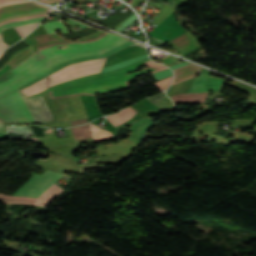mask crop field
<instances>
[{
  "mask_svg": "<svg viewBox=\"0 0 256 256\" xmlns=\"http://www.w3.org/2000/svg\"><path fill=\"white\" fill-rule=\"evenodd\" d=\"M118 38H120V37H117V36H114L113 34L107 33L105 36H103L102 38H100L94 42L62 44V45H68V47H64L65 49H58L57 47H63V46L56 45V46H53V47H50V48H47L44 50H40V51L34 53L33 55H31L28 59L24 60L22 63H20L18 66H16L14 68V69L20 71L21 73H19L18 71L13 69L6 75L0 77V81H2L4 79H7V78L19 73L7 80L0 82V87L30 74L31 72H33L37 68L41 67L45 63H47L59 56H62V55H65V54H68L71 52H76V51L96 49V48H98L112 40L118 39ZM127 41L128 40L120 38V39L110 42L96 50L76 52V53H71V54L59 57V58L45 64L44 66H42L38 70L34 71L30 75L0 88V97L7 93L18 90L17 87L35 79L36 77L42 75L43 73L49 71L50 69L54 68L55 66L65 62L67 60H70L73 58H79V57L99 55V54H102L105 51L110 50L122 43L127 42Z\"/></svg>",
  "mask_w": 256,
  "mask_h": 256,
  "instance_id": "obj_1",
  "label": "crop field"
},
{
  "mask_svg": "<svg viewBox=\"0 0 256 256\" xmlns=\"http://www.w3.org/2000/svg\"><path fill=\"white\" fill-rule=\"evenodd\" d=\"M142 65H146L149 68L137 71L127 76L124 75L126 73L138 70L137 68ZM164 69L168 68L156 64L148 58L123 69L103 73L100 75V77H98V74H95L62 83L33 96H40L49 91L51 98L73 96L78 94L98 95L114 93L120 90L129 89L130 86L127 82L139 76L148 74V72L154 73Z\"/></svg>",
  "mask_w": 256,
  "mask_h": 256,
  "instance_id": "obj_2",
  "label": "crop field"
},
{
  "mask_svg": "<svg viewBox=\"0 0 256 256\" xmlns=\"http://www.w3.org/2000/svg\"><path fill=\"white\" fill-rule=\"evenodd\" d=\"M62 174L47 170L42 176L35 175L14 195L39 197L48 189ZM64 190L55 183L45 191L39 198H28L19 196H9L0 193V201L7 203L36 204L48 206Z\"/></svg>",
  "mask_w": 256,
  "mask_h": 256,
  "instance_id": "obj_3",
  "label": "crop field"
},
{
  "mask_svg": "<svg viewBox=\"0 0 256 256\" xmlns=\"http://www.w3.org/2000/svg\"><path fill=\"white\" fill-rule=\"evenodd\" d=\"M106 58L84 61L80 63L71 64L68 67L50 75L46 79L22 89L26 96L39 93L53 85L72 80L76 77L85 76L91 73L100 72Z\"/></svg>",
  "mask_w": 256,
  "mask_h": 256,
  "instance_id": "obj_4",
  "label": "crop field"
},
{
  "mask_svg": "<svg viewBox=\"0 0 256 256\" xmlns=\"http://www.w3.org/2000/svg\"><path fill=\"white\" fill-rule=\"evenodd\" d=\"M210 72L202 69L199 77H197L196 81L191 85L188 90L189 93H199V92H208L210 89L219 91L222 83L226 79H220L216 77L209 76ZM207 93H199V94H177L172 96V100L174 103H204L206 99Z\"/></svg>",
  "mask_w": 256,
  "mask_h": 256,
  "instance_id": "obj_5",
  "label": "crop field"
},
{
  "mask_svg": "<svg viewBox=\"0 0 256 256\" xmlns=\"http://www.w3.org/2000/svg\"><path fill=\"white\" fill-rule=\"evenodd\" d=\"M50 8L32 1L0 6V25L17 20L46 16Z\"/></svg>",
  "mask_w": 256,
  "mask_h": 256,
  "instance_id": "obj_6",
  "label": "crop field"
},
{
  "mask_svg": "<svg viewBox=\"0 0 256 256\" xmlns=\"http://www.w3.org/2000/svg\"><path fill=\"white\" fill-rule=\"evenodd\" d=\"M0 107L8 119H5V115L0 109V115L5 117L0 116L1 120L7 122L35 123L19 91L0 98Z\"/></svg>",
  "mask_w": 256,
  "mask_h": 256,
  "instance_id": "obj_7",
  "label": "crop field"
},
{
  "mask_svg": "<svg viewBox=\"0 0 256 256\" xmlns=\"http://www.w3.org/2000/svg\"><path fill=\"white\" fill-rule=\"evenodd\" d=\"M104 34H106V33L99 31L93 35L78 39L76 41H67V40L59 37L57 34L42 35V36H36L33 38L37 43V51H38L40 49H44V48H47V47L55 45V44L93 41V40H96V39L102 37Z\"/></svg>",
  "mask_w": 256,
  "mask_h": 256,
  "instance_id": "obj_8",
  "label": "crop field"
},
{
  "mask_svg": "<svg viewBox=\"0 0 256 256\" xmlns=\"http://www.w3.org/2000/svg\"><path fill=\"white\" fill-rule=\"evenodd\" d=\"M19 91L22 94V96L24 97L36 122L53 121V118H52L42 96L41 97H26L21 90H19Z\"/></svg>",
  "mask_w": 256,
  "mask_h": 256,
  "instance_id": "obj_9",
  "label": "crop field"
},
{
  "mask_svg": "<svg viewBox=\"0 0 256 256\" xmlns=\"http://www.w3.org/2000/svg\"><path fill=\"white\" fill-rule=\"evenodd\" d=\"M154 123H152V120L150 118H143L136 120L133 124L130 130H132V134L129 139H132L138 143H141L145 133L148 129L153 127Z\"/></svg>",
  "mask_w": 256,
  "mask_h": 256,
  "instance_id": "obj_10",
  "label": "crop field"
},
{
  "mask_svg": "<svg viewBox=\"0 0 256 256\" xmlns=\"http://www.w3.org/2000/svg\"><path fill=\"white\" fill-rule=\"evenodd\" d=\"M201 68L192 66V65H186L181 68L174 69V80L171 85H174L176 83L182 82L184 80H187L195 75H198L200 72Z\"/></svg>",
  "mask_w": 256,
  "mask_h": 256,
  "instance_id": "obj_11",
  "label": "crop field"
},
{
  "mask_svg": "<svg viewBox=\"0 0 256 256\" xmlns=\"http://www.w3.org/2000/svg\"><path fill=\"white\" fill-rule=\"evenodd\" d=\"M168 43H170L181 54L195 48L192 38L187 33Z\"/></svg>",
  "mask_w": 256,
  "mask_h": 256,
  "instance_id": "obj_12",
  "label": "crop field"
},
{
  "mask_svg": "<svg viewBox=\"0 0 256 256\" xmlns=\"http://www.w3.org/2000/svg\"><path fill=\"white\" fill-rule=\"evenodd\" d=\"M138 112H136L134 109H132L131 107L118 113L115 114L113 116H108L106 117L115 127L122 125L123 123H125L126 121H128L134 114H136Z\"/></svg>",
  "mask_w": 256,
  "mask_h": 256,
  "instance_id": "obj_13",
  "label": "crop field"
},
{
  "mask_svg": "<svg viewBox=\"0 0 256 256\" xmlns=\"http://www.w3.org/2000/svg\"><path fill=\"white\" fill-rule=\"evenodd\" d=\"M72 134L76 140H85L92 138L89 123L71 128Z\"/></svg>",
  "mask_w": 256,
  "mask_h": 256,
  "instance_id": "obj_14",
  "label": "crop field"
},
{
  "mask_svg": "<svg viewBox=\"0 0 256 256\" xmlns=\"http://www.w3.org/2000/svg\"><path fill=\"white\" fill-rule=\"evenodd\" d=\"M90 126H91L93 141L105 140L112 137V133L102 130L91 123H90Z\"/></svg>",
  "mask_w": 256,
  "mask_h": 256,
  "instance_id": "obj_15",
  "label": "crop field"
},
{
  "mask_svg": "<svg viewBox=\"0 0 256 256\" xmlns=\"http://www.w3.org/2000/svg\"><path fill=\"white\" fill-rule=\"evenodd\" d=\"M43 25H44L48 34L55 33V31H58V30H60L62 33H69V31L64 26L62 21L46 23V24H43Z\"/></svg>",
  "mask_w": 256,
  "mask_h": 256,
  "instance_id": "obj_16",
  "label": "crop field"
},
{
  "mask_svg": "<svg viewBox=\"0 0 256 256\" xmlns=\"http://www.w3.org/2000/svg\"><path fill=\"white\" fill-rule=\"evenodd\" d=\"M43 18H37V19H31V20H24V21H17V22H13V23H7L3 26L0 27V32L4 29H9L15 26H20V25H24V24H30V23H37V22H41Z\"/></svg>",
  "mask_w": 256,
  "mask_h": 256,
  "instance_id": "obj_17",
  "label": "crop field"
},
{
  "mask_svg": "<svg viewBox=\"0 0 256 256\" xmlns=\"http://www.w3.org/2000/svg\"><path fill=\"white\" fill-rule=\"evenodd\" d=\"M171 80H172V76L167 78V79H164L160 82H157V83L153 84V86L161 92L169 86Z\"/></svg>",
  "mask_w": 256,
  "mask_h": 256,
  "instance_id": "obj_18",
  "label": "crop field"
},
{
  "mask_svg": "<svg viewBox=\"0 0 256 256\" xmlns=\"http://www.w3.org/2000/svg\"><path fill=\"white\" fill-rule=\"evenodd\" d=\"M39 24V23H38ZM38 24H33V25H27V26H21V27H16L21 35V37H24L26 34H28L31 30H33Z\"/></svg>",
  "mask_w": 256,
  "mask_h": 256,
  "instance_id": "obj_19",
  "label": "crop field"
},
{
  "mask_svg": "<svg viewBox=\"0 0 256 256\" xmlns=\"http://www.w3.org/2000/svg\"><path fill=\"white\" fill-rule=\"evenodd\" d=\"M137 19L136 15H132L131 17H129L128 19H126L125 21H123L121 24H119L118 26H116L114 29L120 31L123 28H125L126 26L130 25L133 21H135Z\"/></svg>",
  "mask_w": 256,
  "mask_h": 256,
  "instance_id": "obj_20",
  "label": "crop field"
},
{
  "mask_svg": "<svg viewBox=\"0 0 256 256\" xmlns=\"http://www.w3.org/2000/svg\"><path fill=\"white\" fill-rule=\"evenodd\" d=\"M163 98H165V96L162 94V93H160V94H158V95H155V96H153V97H150V98H148L150 101H152L153 103H155V102H157V101H159V100H161V99H163Z\"/></svg>",
  "mask_w": 256,
  "mask_h": 256,
  "instance_id": "obj_21",
  "label": "crop field"
},
{
  "mask_svg": "<svg viewBox=\"0 0 256 256\" xmlns=\"http://www.w3.org/2000/svg\"><path fill=\"white\" fill-rule=\"evenodd\" d=\"M66 22L71 23V24H74V25H76V26H80V27H82V28H84V29H86V28L88 27V26L83 25V24H81V23H78V22H76V21H74V20H72V19H70V20H68V21H66Z\"/></svg>",
  "mask_w": 256,
  "mask_h": 256,
  "instance_id": "obj_22",
  "label": "crop field"
},
{
  "mask_svg": "<svg viewBox=\"0 0 256 256\" xmlns=\"http://www.w3.org/2000/svg\"><path fill=\"white\" fill-rule=\"evenodd\" d=\"M88 121H89L88 119H80V120L71 121V126L81 124V123H85V122H88Z\"/></svg>",
  "mask_w": 256,
  "mask_h": 256,
  "instance_id": "obj_23",
  "label": "crop field"
},
{
  "mask_svg": "<svg viewBox=\"0 0 256 256\" xmlns=\"http://www.w3.org/2000/svg\"><path fill=\"white\" fill-rule=\"evenodd\" d=\"M8 48V45L5 44L3 41H2V37H1V33H0V52L4 49Z\"/></svg>",
  "mask_w": 256,
  "mask_h": 256,
  "instance_id": "obj_24",
  "label": "crop field"
},
{
  "mask_svg": "<svg viewBox=\"0 0 256 256\" xmlns=\"http://www.w3.org/2000/svg\"><path fill=\"white\" fill-rule=\"evenodd\" d=\"M15 1H21V0H0V4L15 2Z\"/></svg>",
  "mask_w": 256,
  "mask_h": 256,
  "instance_id": "obj_25",
  "label": "crop field"
},
{
  "mask_svg": "<svg viewBox=\"0 0 256 256\" xmlns=\"http://www.w3.org/2000/svg\"><path fill=\"white\" fill-rule=\"evenodd\" d=\"M0 132L5 134V132H4V125H3L2 121H0Z\"/></svg>",
  "mask_w": 256,
  "mask_h": 256,
  "instance_id": "obj_26",
  "label": "crop field"
},
{
  "mask_svg": "<svg viewBox=\"0 0 256 256\" xmlns=\"http://www.w3.org/2000/svg\"><path fill=\"white\" fill-rule=\"evenodd\" d=\"M41 1H44V2H46V3H51V2L61 1V0H41Z\"/></svg>",
  "mask_w": 256,
  "mask_h": 256,
  "instance_id": "obj_27",
  "label": "crop field"
},
{
  "mask_svg": "<svg viewBox=\"0 0 256 256\" xmlns=\"http://www.w3.org/2000/svg\"><path fill=\"white\" fill-rule=\"evenodd\" d=\"M3 54H4V52L0 54V58H1V56H2Z\"/></svg>",
  "mask_w": 256,
  "mask_h": 256,
  "instance_id": "obj_28",
  "label": "crop field"
}]
</instances>
